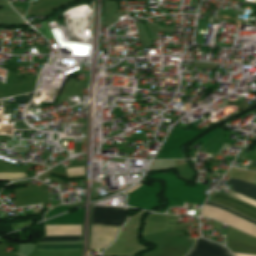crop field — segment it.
<instances>
[{"label":"crop field","mask_w":256,"mask_h":256,"mask_svg":"<svg viewBox=\"0 0 256 256\" xmlns=\"http://www.w3.org/2000/svg\"><path fill=\"white\" fill-rule=\"evenodd\" d=\"M126 218L125 208L92 206L91 224L121 227Z\"/></svg>","instance_id":"1"},{"label":"crop field","mask_w":256,"mask_h":256,"mask_svg":"<svg viewBox=\"0 0 256 256\" xmlns=\"http://www.w3.org/2000/svg\"><path fill=\"white\" fill-rule=\"evenodd\" d=\"M119 228L91 225L90 249H104L112 243Z\"/></svg>","instance_id":"2"},{"label":"crop field","mask_w":256,"mask_h":256,"mask_svg":"<svg viewBox=\"0 0 256 256\" xmlns=\"http://www.w3.org/2000/svg\"><path fill=\"white\" fill-rule=\"evenodd\" d=\"M207 201H211L214 203L224 205L226 207H229L237 212H240V213L256 220V208L255 207L247 205L243 202H240V201L230 198L228 196H225V195H222V194H219V193L213 191L212 194L207 199Z\"/></svg>","instance_id":"3"},{"label":"crop field","mask_w":256,"mask_h":256,"mask_svg":"<svg viewBox=\"0 0 256 256\" xmlns=\"http://www.w3.org/2000/svg\"><path fill=\"white\" fill-rule=\"evenodd\" d=\"M186 256H232L225 248L208 240L197 239Z\"/></svg>","instance_id":"4"},{"label":"crop field","mask_w":256,"mask_h":256,"mask_svg":"<svg viewBox=\"0 0 256 256\" xmlns=\"http://www.w3.org/2000/svg\"><path fill=\"white\" fill-rule=\"evenodd\" d=\"M80 235V225H45V236Z\"/></svg>","instance_id":"5"},{"label":"crop field","mask_w":256,"mask_h":256,"mask_svg":"<svg viewBox=\"0 0 256 256\" xmlns=\"http://www.w3.org/2000/svg\"><path fill=\"white\" fill-rule=\"evenodd\" d=\"M228 184L232 185L231 190L256 201V186L230 178Z\"/></svg>","instance_id":"6"},{"label":"crop field","mask_w":256,"mask_h":256,"mask_svg":"<svg viewBox=\"0 0 256 256\" xmlns=\"http://www.w3.org/2000/svg\"><path fill=\"white\" fill-rule=\"evenodd\" d=\"M80 236H51V237H43L39 242L45 241H80Z\"/></svg>","instance_id":"7"},{"label":"crop field","mask_w":256,"mask_h":256,"mask_svg":"<svg viewBox=\"0 0 256 256\" xmlns=\"http://www.w3.org/2000/svg\"><path fill=\"white\" fill-rule=\"evenodd\" d=\"M36 249H80V244L69 245H37Z\"/></svg>","instance_id":"8"},{"label":"crop field","mask_w":256,"mask_h":256,"mask_svg":"<svg viewBox=\"0 0 256 256\" xmlns=\"http://www.w3.org/2000/svg\"><path fill=\"white\" fill-rule=\"evenodd\" d=\"M205 204H209V205L218 207V208H220V209H222V210H224V211H226V212H229V213H231V214H233V215H235V216H237V217H240V218H242V219H245V220H247V221H249V222H252V223L256 224V221H254V220H252V219H250V218H248V217H246V216H243V215H241V214H239V213H237V212H235V211H233V210H231V209H229V208H226V207H223V206H221V205L214 204V203H211V202H207V201H206Z\"/></svg>","instance_id":"9"},{"label":"crop field","mask_w":256,"mask_h":256,"mask_svg":"<svg viewBox=\"0 0 256 256\" xmlns=\"http://www.w3.org/2000/svg\"><path fill=\"white\" fill-rule=\"evenodd\" d=\"M26 177L25 173H0V179H18Z\"/></svg>","instance_id":"10"},{"label":"crop field","mask_w":256,"mask_h":256,"mask_svg":"<svg viewBox=\"0 0 256 256\" xmlns=\"http://www.w3.org/2000/svg\"><path fill=\"white\" fill-rule=\"evenodd\" d=\"M228 196L233 197V198H235V199H238V200H240V201H243V202H245V203H248V204H250V205L256 207V202H255V201L250 200V199H248V198H245V197H243V196H241V195H238V194H236V193H234V192H232V191L229 192Z\"/></svg>","instance_id":"11"},{"label":"crop field","mask_w":256,"mask_h":256,"mask_svg":"<svg viewBox=\"0 0 256 256\" xmlns=\"http://www.w3.org/2000/svg\"><path fill=\"white\" fill-rule=\"evenodd\" d=\"M245 158L256 161V149L252 151L250 154H248Z\"/></svg>","instance_id":"12"},{"label":"crop field","mask_w":256,"mask_h":256,"mask_svg":"<svg viewBox=\"0 0 256 256\" xmlns=\"http://www.w3.org/2000/svg\"><path fill=\"white\" fill-rule=\"evenodd\" d=\"M234 256H252V255H245V254H236V253H233Z\"/></svg>","instance_id":"13"},{"label":"crop field","mask_w":256,"mask_h":256,"mask_svg":"<svg viewBox=\"0 0 256 256\" xmlns=\"http://www.w3.org/2000/svg\"><path fill=\"white\" fill-rule=\"evenodd\" d=\"M250 164L251 165H256V162L251 161Z\"/></svg>","instance_id":"14"}]
</instances>
